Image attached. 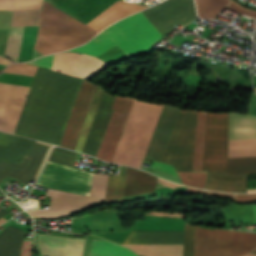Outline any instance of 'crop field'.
I'll return each mask as SVG.
<instances>
[{"instance_id":"crop-field-41","label":"crop field","mask_w":256,"mask_h":256,"mask_svg":"<svg viewBox=\"0 0 256 256\" xmlns=\"http://www.w3.org/2000/svg\"><path fill=\"white\" fill-rule=\"evenodd\" d=\"M253 254H256V250L254 252H252Z\"/></svg>"},{"instance_id":"crop-field-25","label":"crop field","mask_w":256,"mask_h":256,"mask_svg":"<svg viewBox=\"0 0 256 256\" xmlns=\"http://www.w3.org/2000/svg\"><path fill=\"white\" fill-rule=\"evenodd\" d=\"M256 156V139L229 140V158Z\"/></svg>"},{"instance_id":"crop-field-26","label":"crop field","mask_w":256,"mask_h":256,"mask_svg":"<svg viewBox=\"0 0 256 256\" xmlns=\"http://www.w3.org/2000/svg\"><path fill=\"white\" fill-rule=\"evenodd\" d=\"M126 170L127 167L125 169V176L109 175L105 203L118 202L123 200Z\"/></svg>"},{"instance_id":"crop-field-27","label":"crop field","mask_w":256,"mask_h":256,"mask_svg":"<svg viewBox=\"0 0 256 256\" xmlns=\"http://www.w3.org/2000/svg\"><path fill=\"white\" fill-rule=\"evenodd\" d=\"M81 55L75 53L56 54L52 70L72 75Z\"/></svg>"},{"instance_id":"crop-field-14","label":"crop field","mask_w":256,"mask_h":256,"mask_svg":"<svg viewBox=\"0 0 256 256\" xmlns=\"http://www.w3.org/2000/svg\"><path fill=\"white\" fill-rule=\"evenodd\" d=\"M85 239H72L37 234L43 256H82Z\"/></svg>"},{"instance_id":"crop-field-32","label":"crop field","mask_w":256,"mask_h":256,"mask_svg":"<svg viewBox=\"0 0 256 256\" xmlns=\"http://www.w3.org/2000/svg\"><path fill=\"white\" fill-rule=\"evenodd\" d=\"M55 55V54H54ZM54 55H50L44 58L37 59L33 62H29L30 64L38 65V66H43V67H48L51 68Z\"/></svg>"},{"instance_id":"crop-field-1","label":"crop field","mask_w":256,"mask_h":256,"mask_svg":"<svg viewBox=\"0 0 256 256\" xmlns=\"http://www.w3.org/2000/svg\"><path fill=\"white\" fill-rule=\"evenodd\" d=\"M81 81L39 67L14 134L58 145Z\"/></svg>"},{"instance_id":"crop-field-21","label":"crop field","mask_w":256,"mask_h":256,"mask_svg":"<svg viewBox=\"0 0 256 256\" xmlns=\"http://www.w3.org/2000/svg\"><path fill=\"white\" fill-rule=\"evenodd\" d=\"M107 66L108 64L96 57L82 54L73 76L89 79Z\"/></svg>"},{"instance_id":"crop-field-17","label":"crop field","mask_w":256,"mask_h":256,"mask_svg":"<svg viewBox=\"0 0 256 256\" xmlns=\"http://www.w3.org/2000/svg\"><path fill=\"white\" fill-rule=\"evenodd\" d=\"M145 8L148 7L117 1L86 25L99 32L109 24Z\"/></svg>"},{"instance_id":"crop-field-37","label":"crop field","mask_w":256,"mask_h":256,"mask_svg":"<svg viewBox=\"0 0 256 256\" xmlns=\"http://www.w3.org/2000/svg\"><path fill=\"white\" fill-rule=\"evenodd\" d=\"M0 63H1V64H5V65H8V64H11V63H13V62H11V61H9V60L3 58V57H0Z\"/></svg>"},{"instance_id":"crop-field-13","label":"crop field","mask_w":256,"mask_h":256,"mask_svg":"<svg viewBox=\"0 0 256 256\" xmlns=\"http://www.w3.org/2000/svg\"><path fill=\"white\" fill-rule=\"evenodd\" d=\"M133 102L134 99L126 97V103L122 114L114 111L112 112L104 139L96 155L97 158L109 162L111 161Z\"/></svg>"},{"instance_id":"crop-field-35","label":"crop field","mask_w":256,"mask_h":256,"mask_svg":"<svg viewBox=\"0 0 256 256\" xmlns=\"http://www.w3.org/2000/svg\"><path fill=\"white\" fill-rule=\"evenodd\" d=\"M14 1L0 0V10L12 11Z\"/></svg>"},{"instance_id":"crop-field-36","label":"crop field","mask_w":256,"mask_h":256,"mask_svg":"<svg viewBox=\"0 0 256 256\" xmlns=\"http://www.w3.org/2000/svg\"><path fill=\"white\" fill-rule=\"evenodd\" d=\"M186 191L201 192V193L214 194V195H220V196H231V197L235 196V194H223V193H217V192H209V191H203V190L189 188V187H187Z\"/></svg>"},{"instance_id":"crop-field-34","label":"crop field","mask_w":256,"mask_h":256,"mask_svg":"<svg viewBox=\"0 0 256 256\" xmlns=\"http://www.w3.org/2000/svg\"><path fill=\"white\" fill-rule=\"evenodd\" d=\"M239 201L256 200V194H236V199Z\"/></svg>"},{"instance_id":"crop-field-31","label":"crop field","mask_w":256,"mask_h":256,"mask_svg":"<svg viewBox=\"0 0 256 256\" xmlns=\"http://www.w3.org/2000/svg\"><path fill=\"white\" fill-rule=\"evenodd\" d=\"M43 0H15L14 9H40Z\"/></svg>"},{"instance_id":"crop-field-39","label":"crop field","mask_w":256,"mask_h":256,"mask_svg":"<svg viewBox=\"0 0 256 256\" xmlns=\"http://www.w3.org/2000/svg\"><path fill=\"white\" fill-rule=\"evenodd\" d=\"M253 208H254L255 221H256V205H253Z\"/></svg>"},{"instance_id":"crop-field-42","label":"crop field","mask_w":256,"mask_h":256,"mask_svg":"<svg viewBox=\"0 0 256 256\" xmlns=\"http://www.w3.org/2000/svg\"><path fill=\"white\" fill-rule=\"evenodd\" d=\"M0 209H2V208H0Z\"/></svg>"},{"instance_id":"crop-field-30","label":"crop field","mask_w":256,"mask_h":256,"mask_svg":"<svg viewBox=\"0 0 256 256\" xmlns=\"http://www.w3.org/2000/svg\"><path fill=\"white\" fill-rule=\"evenodd\" d=\"M194 226L185 224L183 256H193Z\"/></svg>"},{"instance_id":"crop-field-38","label":"crop field","mask_w":256,"mask_h":256,"mask_svg":"<svg viewBox=\"0 0 256 256\" xmlns=\"http://www.w3.org/2000/svg\"><path fill=\"white\" fill-rule=\"evenodd\" d=\"M8 214L4 209L0 211V218Z\"/></svg>"},{"instance_id":"crop-field-29","label":"crop field","mask_w":256,"mask_h":256,"mask_svg":"<svg viewBox=\"0 0 256 256\" xmlns=\"http://www.w3.org/2000/svg\"><path fill=\"white\" fill-rule=\"evenodd\" d=\"M78 153L55 147L49 161L61 163L68 166H73Z\"/></svg>"},{"instance_id":"crop-field-43","label":"crop field","mask_w":256,"mask_h":256,"mask_svg":"<svg viewBox=\"0 0 256 256\" xmlns=\"http://www.w3.org/2000/svg\"><path fill=\"white\" fill-rule=\"evenodd\" d=\"M226 1H228V0H226Z\"/></svg>"},{"instance_id":"crop-field-19","label":"crop field","mask_w":256,"mask_h":256,"mask_svg":"<svg viewBox=\"0 0 256 256\" xmlns=\"http://www.w3.org/2000/svg\"><path fill=\"white\" fill-rule=\"evenodd\" d=\"M24 235L25 232L9 226L0 236V256H20Z\"/></svg>"},{"instance_id":"crop-field-15","label":"crop field","mask_w":256,"mask_h":256,"mask_svg":"<svg viewBox=\"0 0 256 256\" xmlns=\"http://www.w3.org/2000/svg\"><path fill=\"white\" fill-rule=\"evenodd\" d=\"M162 190V180L152 174L128 167L124 196Z\"/></svg>"},{"instance_id":"crop-field-8","label":"crop field","mask_w":256,"mask_h":256,"mask_svg":"<svg viewBox=\"0 0 256 256\" xmlns=\"http://www.w3.org/2000/svg\"><path fill=\"white\" fill-rule=\"evenodd\" d=\"M28 89L0 83V131L13 134Z\"/></svg>"},{"instance_id":"crop-field-24","label":"crop field","mask_w":256,"mask_h":256,"mask_svg":"<svg viewBox=\"0 0 256 256\" xmlns=\"http://www.w3.org/2000/svg\"><path fill=\"white\" fill-rule=\"evenodd\" d=\"M206 113L199 111L193 171H202Z\"/></svg>"},{"instance_id":"crop-field-12","label":"crop field","mask_w":256,"mask_h":256,"mask_svg":"<svg viewBox=\"0 0 256 256\" xmlns=\"http://www.w3.org/2000/svg\"><path fill=\"white\" fill-rule=\"evenodd\" d=\"M41 10H14L10 26H38ZM24 27H10L4 56L17 60Z\"/></svg>"},{"instance_id":"crop-field-5","label":"crop field","mask_w":256,"mask_h":256,"mask_svg":"<svg viewBox=\"0 0 256 256\" xmlns=\"http://www.w3.org/2000/svg\"><path fill=\"white\" fill-rule=\"evenodd\" d=\"M163 106L135 100L111 162L141 167Z\"/></svg>"},{"instance_id":"crop-field-22","label":"crop field","mask_w":256,"mask_h":256,"mask_svg":"<svg viewBox=\"0 0 256 256\" xmlns=\"http://www.w3.org/2000/svg\"><path fill=\"white\" fill-rule=\"evenodd\" d=\"M102 92H103L102 89H100L99 87H96L94 98L92 100V103H91V106L89 108L87 117L85 119V122H84V125L82 127L80 136L78 138L77 144H76L75 149H74L76 151H80L81 152L82 149H83V146H84V144L86 142V139H87L88 133L90 131L93 119L95 117L97 108L99 106V103H100V100H101V96H102Z\"/></svg>"},{"instance_id":"crop-field-16","label":"crop field","mask_w":256,"mask_h":256,"mask_svg":"<svg viewBox=\"0 0 256 256\" xmlns=\"http://www.w3.org/2000/svg\"><path fill=\"white\" fill-rule=\"evenodd\" d=\"M124 244H183V231H132Z\"/></svg>"},{"instance_id":"crop-field-18","label":"crop field","mask_w":256,"mask_h":256,"mask_svg":"<svg viewBox=\"0 0 256 256\" xmlns=\"http://www.w3.org/2000/svg\"><path fill=\"white\" fill-rule=\"evenodd\" d=\"M229 139L256 138V117L230 113Z\"/></svg>"},{"instance_id":"crop-field-9","label":"crop field","mask_w":256,"mask_h":256,"mask_svg":"<svg viewBox=\"0 0 256 256\" xmlns=\"http://www.w3.org/2000/svg\"><path fill=\"white\" fill-rule=\"evenodd\" d=\"M95 87V85L83 80L76 101L74 103L73 109L71 111L60 144L61 146L67 147L72 150L74 149L81 126L88 111Z\"/></svg>"},{"instance_id":"crop-field-6","label":"crop field","mask_w":256,"mask_h":256,"mask_svg":"<svg viewBox=\"0 0 256 256\" xmlns=\"http://www.w3.org/2000/svg\"><path fill=\"white\" fill-rule=\"evenodd\" d=\"M256 248V234L196 226L194 256H242Z\"/></svg>"},{"instance_id":"crop-field-23","label":"crop field","mask_w":256,"mask_h":256,"mask_svg":"<svg viewBox=\"0 0 256 256\" xmlns=\"http://www.w3.org/2000/svg\"><path fill=\"white\" fill-rule=\"evenodd\" d=\"M90 256H137L130 250L117 244L94 240Z\"/></svg>"},{"instance_id":"crop-field-4","label":"crop field","mask_w":256,"mask_h":256,"mask_svg":"<svg viewBox=\"0 0 256 256\" xmlns=\"http://www.w3.org/2000/svg\"><path fill=\"white\" fill-rule=\"evenodd\" d=\"M160 38V33L140 12L108 27L87 44L69 51L97 56L117 45L131 55L149 49Z\"/></svg>"},{"instance_id":"crop-field-7","label":"crop field","mask_w":256,"mask_h":256,"mask_svg":"<svg viewBox=\"0 0 256 256\" xmlns=\"http://www.w3.org/2000/svg\"><path fill=\"white\" fill-rule=\"evenodd\" d=\"M198 111L182 110L162 162L192 171Z\"/></svg>"},{"instance_id":"crop-field-10","label":"crop field","mask_w":256,"mask_h":256,"mask_svg":"<svg viewBox=\"0 0 256 256\" xmlns=\"http://www.w3.org/2000/svg\"><path fill=\"white\" fill-rule=\"evenodd\" d=\"M181 110L165 105L149 144L145 158L162 161Z\"/></svg>"},{"instance_id":"crop-field-28","label":"crop field","mask_w":256,"mask_h":256,"mask_svg":"<svg viewBox=\"0 0 256 256\" xmlns=\"http://www.w3.org/2000/svg\"><path fill=\"white\" fill-rule=\"evenodd\" d=\"M184 185L203 188L206 183L207 173L205 172H178Z\"/></svg>"},{"instance_id":"crop-field-2","label":"crop field","mask_w":256,"mask_h":256,"mask_svg":"<svg viewBox=\"0 0 256 256\" xmlns=\"http://www.w3.org/2000/svg\"><path fill=\"white\" fill-rule=\"evenodd\" d=\"M107 178L108 175L94 173L93 181L92 172L48 161L36 183L37 185L90 197L93 181L91 198L48 189L46 195L51 196L50 210H33L28 212L33 217H58L102 199L105 200Z\"/></svg>"},{"instance_id":"crop-field-44","label":"crop field","mask_w":256,"mask_h":256,"mask_svg":"<svg viewBox=\"0 0 256 256\" xmlns=\"http://www.w3.org/2000/svg\"><path fill=\"white\" fill-rule=\"evenodd\" d=\"M1 71V70H0Z\"/></svg>"},{"instance_id":"crop-field-20","label":"crop field","mask_w":256,"mask_h":256,"mask_svg":"<svg viewBox=\"0 0 256 256\" xmlns=\"http://www.w3.org/2000/svg\"><path fill=\"white\" fill-rule=\"evenodd\" d=\"M142 256H182L183 245H124Z\"/></svg>"},{"instance_id":"crop-field-40","label":"crop field","mask_w":256,"mask_h":256,"mask_svg":"<svg viewBox=\"0 0 256 256\" xmlns=\"http://www.w3.org/2000/svg\"><path fill=\"white\" fill-rule=\"evenodd\" d=\"M5 221H7V220H5V219L2 218V219L0 220V224L4 223Z\"/></svg>"},{"instance_id":"crop-field-11","label":"crop field","mask_w":256,"mask_h":256,"mask_svg":"<svg viewBox=\"0 0 256 256\" xmlns=\"http://www.w3.org/2000/svg\"><path fill=\"white\" fill-rule=\"evenodd\" d=\"M115 1L117 0H49L46 2L86 24Z\"/></svg>"},{"instance_id":"crop-field-33","label":"crop field","mask_w":256,"mask_h":256,"mask_svg":"<svg viewBox=\"0 0 256 256\" xmlns=\"http://www.w3.org/2000/svg\"><path fill=\"white\" fill-rule=\"evenodd\" d=\"M154 165H157V166H161V167H164V168H167V169H171V170H174L172 166L170 165H166V164H163V163H159V162H155L153 163ZM152 166L153 168L155 169H158V170H161V171H164L166 173H170V174H173V175H177L176 172L174 171H171V170H167V169H164V168H161V167H157V166Z\"/></svg>"},{"instance_id":"crop-field-3","label":"crop field","mask_w":256,"mask_h":256,"mask_svg":"<svg viewBox=\"0 0 256 256\" xmlns=\"http://www.w3.org/2000/svg\"><path fill=\"white\" fill-rule=\"evenodd\" d=\"M203 171L205 189L224 192H247V174L256 173V157L228 159V113L208 112Z\"/></svg>"}]
</instances>
